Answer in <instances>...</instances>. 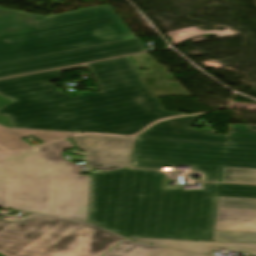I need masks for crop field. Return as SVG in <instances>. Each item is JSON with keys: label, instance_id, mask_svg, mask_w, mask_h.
Here are the masks:
<instances>
[{"label": "crop field", "instance_id": "34b2d1b8", "mask_svg": "<svg viewBox=\"0 0 256 256\" xmlns=\"http://www.w3.org/2000/svg\"><path fill=\"white\" fill-rule=\"evenodd\" d=\"M68 138L0 154V208L86 221L90 174L62 158Z\"/></svg>", "mask_w": 256, "mask_h": 256}, {"label": "crop field", "instance_id": "5142ce71", "mask_svg": "<svg viewBox=\"0 0 256 256\" xmlns=\"http://www.w3.org/2000/svg\"><path fill=\"white\" fill-rule=\"evenodd\" d=\"M223 182L256 184V170L226 168Z\"/></svg>", "mask_w": 256, "mask_h": 256}, {"label": "crop field", "instance_id": "3316defc", "mask_svg": "<svg viewBox=\"0 0 256 256\" xmlns=\"http://www.w3.org/2000/svg\"><path fill=\"white\" fill-rule=\"evenodd\" d=\"M203 114L191 117H181L165 120L148 128L137 137L158 138L181 141L216 142L226 143L225 135H213L214 131L206 127L201 129H187L195 120Z\"/></svg>", "mask_w": 256, "mask_h": 256}, {"label": "crop field", "instance_id": "d8731c3e", "mask_svg": "<svg viewBox=\"0 0 256 256\" xmlns=\"http://www.w3.org/2000/svg\"><path fill=\"white\" fill-rule=\"evenodd\" d=\"M103 93L151 96L130 57L88 64Z\"/></svg>", "mask_w": 256, "mask_h": 256}, {"label": "crop field", "instance_id": "4a817a6b", "mask_svg": "<svg viewBox=\"0 0 256 256\" xmlns=\"http://www.w3.org/2000/svg\"><path fill=\"white\" fill-rule=\"evenodd\" d=\"M151 256H210V255H204V254H198V253H192V252H186V251L162 247Z\"/></svg>", "mask_w": 256, "mask_h": 256}, {"label": "crop field", "instance_id": "ac0d7876", "mask_svg": "<svg viewBox=\"0 0 256 256\" xmlns=\"http://www.w3.org/2000/svg\"><path fill=\"white\" fill-rule=\"evenodd\" d=\"M0 81V94L16 100L0 109L14 128L132 135L157 119L182 115L163 110L155 97L81 92L75 100L45 82L60 71Z\"/></svg>", "mask_w": 256, "mask_h": 256}, {"label": "crop field", "instance_id": "8a807250", "mask_svg": "<svg viewBox=\"0 0 256 256\" xmlns=\"http://www.w3.org/2000/svg\"><path fill=\"white\" fill-rule=\"evenodd\" d=\"M162 173L121 169L91 175L87 221L124 237L211 240L218 196L256 199V186L202 182L163 189Z\"/></svg>", "mask_w": 256, "mask_h": 256}, {"label": "crop field", "instance_id": "e52e79f7", "mask_svg": "<svg viewBox=\"0 0 256 256\" xmlns=\"http://www.w3.org/2000/svg\"><path fill=\"white\" fill-rule=\"evenodd\" d=\"M139 39L99 45L0 64V78L105 58L145 52Z\"/></svg>", "mask_w": 256, "mask_h": 256}, {"label": "crop field", "instance_id": "00972430", "mask_svg": "<svg viewBox=\"0 0 256 256\" xmlns=\"http://www.w3.org/2000/svg\"><path fill=\"white\" fill-rule=\"evenodd\" d=\"M1 256V255H0Z\"/></svg>", "mask_w": 256, "mask_h": 256}, {"label": "crop field", "instance_id": "bc2a9ffb", "mask_svg": "<svg viewBox=\"0 0 256 256\" xmlns=\"http://www.w3.org/2000/svg\"><path fill=\"white\" fill-rule=\"evenodd\" d=\"M11 102H13V101L7 100V99H5V98L0 96V108L8 105ZM0 124L4 125L6 127L12 128V125H11V123H10V121H9L7 116H1L0 115Z\"/></svg>", "mask_w": 256, "mask_h": 256}, {"label": "crop field", "instance_id": "5a996713", "mask_svg": "<svg viewBox=\"0 0 256 256\" xmlns=\"http://www.w3.org/2000/svg\"><path fill=\"white\" fill-rule=\"evenodd\" d=\"M78 149L86 153L89 166L101 172L126 166L131 138L82 135L72 138Z\"/></svg>", "mask_w": 256, "mask_h": 256}, {"label": "crop field", "instance_id": "22f410ed", "mask_svg": "<svg viewBox=\"0 0 256 256\" xmlns=\"http://www.w3.org/2000/svg\"><path fill=\"white\" fill-rule=\"evenodd\" d=\"M215 229L256 232V211L219 209Z\"/></svg>", "mask_w": 256, "mask_h": 256}, {"label": "crop field", "instance_id": "214f88e0", "mask_svg": "<svg viewBox=\"0 0 256 256\" xmlns=\"http://www.w3.org/2000/svg\"><path fill=\"white\" fill-rule=\"evenodd\" d=\"M248 133H256V126L255 125H249Z\"/></svg>", "mask_w": 256, "mask_h": 256}, {"label": "crop field", "instance_id": "92a150f3", "mask_svg": "<svg viewBox=\"0 0 256 256\" xmlns=\"http://www.w3.org/2000/svg\"><path fill=\"white\" fill-rule=\"evenodd\" d=\"M247 256H256V255H253V254H249V255H247Z\"/></svg>", "mask_w": 256, "mask_h": 256}, {"label": "crop field", "instance_id": "f4fd0767", "mask_svg": "<svg viewBox=\"0 0 256 256\" xmlns=\"http://www.w3.org/2000/svg\"><path fill=\"white\" fill-rule=\"evenodd\" d=\"M0 217L4 256H101L124 239L88 222L34 213L24 220Z\"/></svg>", "mask_w": 256, "mask_h": 256}, {"label": "crop field", "instance_id": "cbeb9de0", "mask_svg": "<svg viewBox=\"0 0 256 256\" xmlns=\"http://www.w3.org/2000/svg\"><path fill=\"white\" fill-rule=\"evenodd\" d=\"M159 246L147 245L126 239L105 256H150Z\"/></svg>", "mask_w": 256, "mask_h": 256}, {"label": "crop field", "instance_id": "733c2abd", "mask_svg": "<svg viewBox=\"0 0 256 256\" xmlns=\"http://www.w3.org/2000/svg\"><path fill=\"white\" fill-rule=\"evenodd\" d=\"M219 208L256 210V200L221 197Z\"/></svg>", "mask_w": 256, "mask_h": 256}, {"label": "crop field", "instance_id": "28ad6ade", "mask_svg": "<svg viewBox=\"0 0 256 256\" xmlns=\"http://www.w3.org/2000/svg\"><path fill=\"white\" fill-rule=\"evenodd\" d=\"M136 242L207 254L212 249L256 253V243L196 242L131 239Z\"/></svg>", "mask_w": 256, "mask_h": 256}, {"label": "crop field", "instance_id": "412701ff", "mask_svg": "<svg viewBox=\"0 0 256 256\" xmlns=\"http://www.w3.org/2000/svg\"><path fill=\"white\" fill-rule=\"evenodd\" d=\"M132 38L108 5L49 17L0 8V63Z\"/></svg>", "mask_w": 256, "mask_h": 256}, {"label": "crop field", "instance_id": "dafd665d", "mask_svg": "<svg viewBox=\"0 0 256 256\" xmlns=\"http://www.w3.org/2000/svg\"><path fill=\"white\" fill-rule=\"evenodd\" d=\"M2 151H5V150H3V149L0 148V152H2Z\"/></svg>", "mask_w": 256, "mask_h": 256}, {"label": "crop field", "instance_id": "d1516ede", "mask_svg": "<svg viewBox=\"0 0 256 256\" xmlns=\"http://www.w3.org/2000/svg\"><path fill=\"white\" fill-rule=\"evenodd\" d=\"M76 133L48 132L35 130L9 129L0 125V146L8 149H20L31 146L20 138L33 135L46 142Z\"/></svg>", "mask_w": 256, "mask_h": 256}, {"label": "crop field", "instance_id": "dd49c442", "mask_svg": "<svg viewBox=\"0 0 256 256\" xmlns=\"http://www.w3.org/2000/svg\"><path fill=\"white\" fill-rule=\"evenodd\" d=\"M248 125L230 124L228 144L134 139L129 165L158 169L190 165L203 180L220 181L223 167L256 169V134Z\"/></svg>", "mask_w": 256, "mask_h": 256}, {"label": "crop field", "instance_id": "d9b57169", "mask_svg": "<svg viewBox=\"0 0 256 256\" xmlns=\"http://www.w3.org/2000/svg\"><path fill=\"white\" fill-rule=\"evenodd\" d=\"M214 241L256 242V233L216 230Z\"/></svg>", "mask_w": 256, "mask_h": 256}]
</instances>
